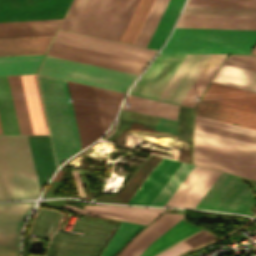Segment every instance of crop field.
<instances>
[{
    "label": "crop field",
    "mask_w": 256,
    "mask_h": 256,
    "mask_svg": "<svg viewBox=\"0 0 256 256\" xmlns=\"http://www.w3.org/2000/svg\"><path fill=\"white\" fill-rule=\"evenodd\" d=\"M37 77L59 166L69 156L81 150L67 83L50 77Z\"/></svg>",
    "instance_id": "obj_1"
},
{
    "label": "crop field",
    "mask_w": 256,
    "mask_h": 256,
    "mask_svg": "<svg viewBox=\"0 0 256 256\" xmlns=\"http://www.w3.org/2000/svg\"><path fill=\"white\" fill-rule=\"evenodd\" d=\"M137 0H74L61 28L117 41Z\"/></svg>",
    "instance_id": "obj_2"
},
{
    "label": "crop field",
    "mask_w": 256,
    "mask_h": 256,
    "mask_svg": "<svg viewBox=\"0 0 256 256\" xmlns=\"http://www.w3.org/2000/svg\"><path fill=\"white\" fill-rule=\"evenodd\" d=\"M0 140V200L35 198L40 194L27 136Z\"/></svg>",
    "instance_id": "obj_3"
},
{
    "label": "crop field",
    "mask_w": 256,
    "mask_h": 256,
    "mask_svg": "<svg viewBox=\"0 0 256 256\" xmlns=\"http://www.w3.org/2000/svg\"><path fill=\"white\" fill-rule=\"evenodd\" d=\"M256 31L175 28L160 54L232 52L249 54Z\"/></svg>",
    "instance_id": "obj_4"
},
{
    "label": "crop field",
    "mask_w": 256,
    "mask_h": 256,
    "mask_svg": "<svg viewBox=\"0 0 256 256\" xmlns=\"http://www.w3.org/2000/svg\"><path fill=\"white\" fill-rule=\"evenodd\" d=\"M40 74L127 92L136 74L47 55Z\"/></svg>",
    "instance_id": "obj_5"
},
{
    "label": "crop field",
    "mask_w": 256,
    "mask_h": 256,
    "mask_svg": "<svg viewBox=\"0 0 256 256\" xmlns=\"http://www.w3.org/2000/svg\"><path fill=\"white\" fill-rule=\"evenodd\" d=\"M183 218V215L164 213L138 234L117 256H139L157 237ZM200 228L182 220L153 241L140 256H150Z\"/></svg>",
    "instance_id": "obj_6"
},
{
    "label": "crop field",
    "mask_w": 256,
    "mask_h": 256,
    "mask_svg": "<svg viewBox=\"0 0 256 256\" xmlns=\"http://www.w3.org/2000/svg\"><path fill=\"white\" fill-rule=\"evenodd\" d=\"M74 228L85 230L83 236L57 232L46 256H97L114 226L79 217ZM58 241L62 243L57 244Z\"/></svg>",
    "instance_id": "obj_7"
},
{
    "label": "crop field",
    "mask_w": 256,
    "mask_h": 256,
    "mask_svg": "<svg viewBox=\"0 0 256 256\" xmlns=\"http://www.w3.org/2000/svg\"><path fill=\"white\" fill-rule=\"evenodd\" d=\"M193 164L256 179V155L196 140Z\"/></svg>",
    "instance_id": "obj_8"
},
{
    "label": "crop field",
    "mask_w": 256,
    "mask_h": 256,
    "mask_svg": "<svg viewBox=\"0 0 256 256\" xmlns=\"http://www.w3.org/2000/svg\"><path fill=\"white\" fill-rule=\"evenodd\" d=\"M67 83L72 99L81 147L84 148L103 133L94 89L87 85L69 81Z\"/></svg>",
    "instance_id": "obj_9"
},
{
    "label": "crop field",
    "mask_w": 256,
    "mask_h": 256,
    "mask_svg": "<svg viewBox=\"0 0 256 256\" xmlns=\"http://www.w3.org/2000/svg\"><path fill=\"white\" fill-rule=\"evenodd\" d=\"M53 42L146 62H149V60L157 52L155 50L66 32L62 30L58 31Z\"/></svg>",
    "instance_id": "obj_10"
},
{
    "label": "crop field",
    "mask_w": 256,
    "mask_h": 256,
    "mask_svg": "<svg viewBox=\"0 0 256 256\" xmlns=\"http://www.w3.org/2000/svg\"><path fill=\"white\" fill-rule=\"evenodd\" d=\"M185 57L186 55L159 56L140 77L130 93L158 100Z\"/></svg>",
    "instance_id": "obj_11"
},
{
    "label": "crop field",
    "mask_w": 256,
    "mask_h": 256,
    "mask_svg": "<svg viewBox=\"0 0 256 256\" xmlns=\"http://www.w3.org/2000/svg\"><path fill=\"white\" fill-rule=\"evenodd\" d=\"M47 54L118 69L122 71L132 72L136 74H139L142 69L147 65L146 62L64 46L55 43L51 44Z\"/></svg>",
    "instance_id": "obj_12"
},
{
    "label": "crop field",
    "mask_w": 256,
    "mask_h": 256,
    "mask_svg": "<svg viewBox=\"0 0 256 256\" xmlns=\"http://www.w3.org/2000/svg\"><path fill=\"white\" fill-rule=\"evenodd\" d=\"M33 202L0 204V232L20 233ZM0 233V256H18L20 234Z\"/></svg>",
    "instance_id": "obj_13"
},
{
    "label": "crop field",
    "mask_w": 256,
    "mask_h": 256,
    "mask_svg": "<svg viewBox=\"0 0 256 256\" xmlns=\"http://www.w3.org/2000/svg\"><path fill=\"white\" fill-rule=\"evenodd\" d=\"M220 174L195 166L165 206L194 208Z\"/></svg>",
    "instance_id": "obj_14"
},
{
    "label": "crop field",
    "mask_w": 256,
    "mask_h": 256,
    "mask_svg": "<svg viewBox=\"0 0 256 256\" xmlns=\"http://www.w3.org/2000/svg\"><path fill=\"white\" fill-rule=\"evenodd\" d=\"M209 56L210 54L187 55L159 100L180 104Z\"/></svg>",
    "instance_id": "obj_15"
},
{
    "label": "crop field",
    "mask_w": 256,
    "mask_h": 256,
    "mask_svg": "<svg viewBox=\"0 0 256 256\" xmlns=\"http://www.w3.org/2000/svg\"><path fill=\"white\" fill-rule=\"evenodd\" d=\"M202 100L256 113V93L211 82Z\"/></svg>",
    "instance_id": "obj_16"
},
{
    "label": "crop field",
    "mask_w": 256,
    "mask_h": 256,
    "mask_svg": "<svg viewBox=\"0 0 256 256\" xmlns=\"http://www.w3.org/2000/svg\"><path fill=\"white\" fill-rule=\"evenodd\" d=\"M180 162L162 158L128 204L149 205L180 166Z\"/></svg>",
    "instance_id": "obj_17"
},
{
    "label": "crop field",
    "mask_w": 256,
    "mask_h": 256,
    "mask_svg": "<svg viewBox=\"0 0 256 256\" xmlns=\"http://www.w3.org/2000/svg\"><path fill=\"white\" fill-rule=\"evenodd\" d=\"M176 27L256 30V18L182 15Z\"/></svg>",
    "instance_id": "obj_18"
},
{
    "label": "crop field",
    "mask_w": 256,
    "mask_h": 256,
    "mask_svg": "<svg viewBox=\"0 0 256 256\" xmlns=\"http://www.w3.org/2000/svg\"><path fill=\"white\" fill-rule=\"evenodd\" d=\"M195 114L256 130V114L202 101Z\"/></svg>",
    "instance_id": "obj_19"
},
{
    "label": "crop field",
    "mask_w": 256,
    "mask_h": 256,
    "mask_svg": "<svg viewBox=\"0 0 256 256\" xmlns=\"http://www.w3.org/2000/svg\"><path fill=\"white\" fill-rule=\"evenodd\" d=\"M40 190L56 170L49 136H28Z\"/></svg>",
    "instance_id": "obj_20"
},
{
    "label": "crop field",
    "mask_w": 256,
    "mask_h": 256,
    "mask_svg": "<svg viewBox=\"0 0 256 256\" xmlns=\"http://www.w3.org/2000/svg\"><path fill=\"white\" fill-rule=\"evenodd\" d=\"M53 35L0 38V56L44 54Z\"/></svg>",
    "instance_id": "obj_21"
},
{
    "label": "crop field",
    "mask_w": 256,
    "mask_h": 256,
    "mask_svg": "<svg viewBox=\"0 0 256 256\" xmlns=\"http://www.w3.org/2000/svg\"><path fill=\"white\" fill-rule=\"evenodd\" d=\"M61 19L0 22V37L54 34Z\"/></svg>",
    "instance_id": "obj_22"
},
{
    "label": "crop field",
    "mask_w": 256,
    "mask_h": 256,
    "mask_svg": "<svg viewBox=\"0 0 256 256\" xmlns=\"http://www.w3.org/2000/svg\"><path fill=\"white\" fill-rule=\"evenodd\" d=\"M34 134H48L35 75L21 76Z\"/></svg>",
    "instance_id": "obj_23"
},
{
    "label": "crop field",
    "mask_w": 256,
    "mask_h": 256,
    "mask_svg": "<svg viewBox=\"0 0 256 256\" xmlns=\"http://www.w3.org/2000/svg\"><path fill=\"white\" fill-rule=\"evenodd\" d=\"M122 109L175 121L176 106L131 95L127 96Z\"/></svg>",
    "instance_id": "obj_24"
},
{
    "label": "crop field",
    "mask_w": 256,
    "mask_h": 256,
    "mask_svg": "<svg viewBox=\"0 0 256 256\" xmlns=\"http://www.w3.org/2000/svg\"><path fill=\"white\" fill-rule=\"evenodd\" d=\"M225 56L226 54H211L208 61L204 65L203 69L181 102L182 105L194 107L198 100L197 97L201 96L202 92L206 88L207 84L213 77Z\"/></svg>",
    "instance_id": "obj_25"
},
{
    "label": "crop field",
    "mask_w": 256,
    "mask_h": 256,
    "mask_svg": "<svg viewBox=\"0 0 256 256\" xmlns=\"http://www.w3.org/2000/svg\"><path fill=\"white\" fill-rule=\"evenodd\" d=\"M213 82L256 92V72L223 64Z\"/></svg>",
    "instance_id": "obj_26"
},
{
    "label": "crop field",
    "mask_w": 256,
    "mask_h": 256,
    "mask_svg": "<svg viewBox=\"0 0 256 256\" xmlns=\"http://www.w3.org/2000/svg\"><path fill=\"white\" fill-rule=\"evenodd\" d=\"M20 134H33L20 76H7Z\"/></svg>",
    "instance_id": "obj_27"
},
{
    "label": "crop field",
    "mask_w": 256,
    "mask_h": 256,
    "mask_svg": "<svg viewBox=\"0 0 256 256\" xmlns=\"http://www.w3.org/2000/svg\"><path fill=\"white\" fill-rule=\"evenodd\" d=\"M0 122L3 134H19L6 76H0Z\"/></svg>",
    "instance_id": "obj_28"
},
{
    "label": "crop field",
    "mask_w": 256,
    "mask_h": 256,
    "mask_svg": "<svg viewBox=\"0 0 256 256\" xmlns=\"http://www.w3.org/2000/svg\"><path fill=\"white\" fill-rule=\"evenodd\" d=\"M96 98L101 116L103 130L105 131L111 124L120 102L125 94L96 88Z\"/></svg>",
    "instance_id": "obj_29"
},
{
    "label": "crop field",
    "mask_w": 256,
    "mask_h": 256,
    "mask_svg": "<svg viewBox=\"0 0 256 256\" xmlns=\"http://www.w3.org/2000/svg\"><path fill=\"white\" fill-rule=\"evenodd\" d=\"M43 55L0 57V75L35 73Z\"/></svg>",
    "instance_id": "obj_30"
},
{
    "label": "crop field",
    "mask_w": 256,
    "mask_h": 256,
    "mask_svg": "<svg viewBox=\"0 0 256 256\" xmlns=\"http://www.w3.org/2000/svg\"><path fill=\"white\" fill-rule=\"evenodd\" d=\"M184 0H170L147 47L159 49L166 38Z\"/></svg>",
    "instance_id": "obj_31"
},
{
    "label": "crop field",
    "mask_w": 256,
    "mask_h": 256,
    "mask_svg": "<svg viewBox=\"0 0 256 256\" xmlns=\"http://www.w3.org/2000/svg\"><path fill=\"white\" fill-rule=\"evenodd\" d=\"M169 0H155L134 44L146 47Z\"/></svg>",
    "instance_id": "obj_32"
},
{
    "label": "crop field",
    "mask_w": 256,
    "mask_h": 256,
    "mask_svg": "<svg viewBox=\"0 0 256 256\" xmlns=\"http://www.w3.org/2000/svg\"><path fill=\"white\" fill-rule=\"evenodd\" d=\"M154 0H140L120 41L133 44Z\"/></svg>",
    "instance_id": "obj_33"
},
{
    "label": "crop field",
    "mask_w": 256,
    "mask_h": 256,
    "mask_svg": "<svg viewBox=\"0 0 256 256\" xmlns=\"http://www.w3.org/2000/svg\"><path fill=\"white\" fill-rule=\"evenodd\" d=\"M193 167V165L182 163L150 205L164 206L175 190L193 169Z\"/></svg>",
    "instance_id": "obj_34"
},
{
    "label": "crop field",
    "mask_w": 256,
    "mask_h": 256,
    "mask_svg": "<svg viewBox=\"0 0 256 256\" xmlns=\"http://www.w3.org/2000/svg\"><path fill=\"white\" fill-rule=\"evenodd\" d=\"M143 226L122 222L115 235L106 245L101 256H112L133 234Z\"/></svg>",
    "instance_id": "obj_35"
},
{
    "label": "crop field",
    "mask_w": 256,
    "mask_h": 256,
    "mask_svg": "<svg viewBox=\"0 0 256 256\" xmlns=\"http://www.w3.org/2000/svg\"><path fill=\"white\" fill-rule=\"evenodd\" d=\"M182 14L256 16V9L185 7Z\"/></svg>",
    "instance_id": "obj_36"
},
{
    "label": "crop field",
    "mask_w": 256,
    "mask_h": 256,
    "mask_svg": "<svg viewBox=\"0 0 256 256\" xmlns=\"http://www.w3.org/2000/svg\"><path fill=\"white\" fill-rule=\"evenodd\" d=\"M84 208L115 211V212L128 214L136 217H141L149 220H152L163 211V209H146V208L102 206V205H84Z\"/></svg>",
    "instance_id": "obj_37"
},
{
    "label": "crop field",
    "mask_w": 256,
    "mask_h": 256,
    "mask_svg": "<svg viewBox=\"0 0 256 256\" xmlns=\"http://www.w3.org/2000/svg\"><path fill=\"white\" fill-rule=\"evenodd\" d=\"M53 213H54V211L41 209L38 216L36 215L37 216L36 219L34 218L35 221L30 229L29 235H30V233H32L38 237L49 238L54 233L56 225H57L58 221L60 220V218L62 217V214L58 213L57 217L55 218V220L52 223L49 234H47V233H45L46 226L48 224L49 219L53 215Z\"/></svg>",
    "instance_id": "obj_38"
},
{
    "label": "crop field",
    "mask_w": 256,
    "mask_h": 256,
    "mask_svg": "<svg viewBox=\"0 0 256 256\" xmlns=\"http://www.w3.org/2000/svg\"><path fill=\"white\" fill-rule=\"evenodd\" d=\"M186 6L256 8V0H188Z\"/></svg>",
    "instance_id": "obj_39"
},
{
    "label": "crop field",
    "mask_w": 256,
    "mask_h": 256,
    "mask_svg": "<svg viewBox=\"0 0 256 256\" xmlns=\"http://www.w3.org/2000/svg\"><path fill=\"white\" fill-rule=\"evenodd\" d=\"M63 209H66L71 212L85 213V214L114 218V219L137 223L141 225H146L147 223L150 222L149 220L136 218L128 215H123L115 212L81 209V208H76V207L67 206V205H64Z\"/></svg>",
    "instance_id": "obj_40"
},
{
    "label": "crop field",
    "mask_w": 256,
    "mask_h": 256,
    "mask_svg": "<svg viewBox=\"0 0 256 256\" xmlns=\"http://www.w3.org/2000/svg\"><path fill=\"white\" fill-rule=\"evenodd\" d=\"M194 128L256 144V138L251 137V136L223 130L220 128H216V127H212V126H208V125H204V124H200V123H196V122H195Z\"/></svg>",
    "instance_id": "obj_41"
},
{
    "label": "crop field",
    "mask_w": 256,
    "mask_h": 256,
    "mask_svg": "<svg viewBox=\"0 0 256 256\" xmlns=\"http://www.w3.org/2000/svg\"><path fill=\"white\" fill-rule=\"evenodd\" d=\"M195 121L256 137V131L195 115Z\"/></svg>",
    "instance_id": "obj_42"
},
{
    "label": "crop field",
    "mask_w": 256,
    "mask_h": 256,
    "mask_svg": "<svg viewBox=\"0 0 256 256\" xmlns=\"http://www.w3.org/2000/svg\"><path fill=\"white\" fill-rule=\"evenodd\" d=\"M225 64L256 71V56L231 55Z\"/></svg>",
    "instance_id": "obj_43"
},
{
    "label": "crop field",
    "mask_w": 256,
    "mask_h": 256,
    "mask_svg": "<svg viewBox=\"0 0 256 256\" xmlns=\"http://www.w3.org/2000/svg\"><path fill=\"white\" fill-rule=\"evenodd\" d=\"M214 238H216V237H214L212 234L203 230V231L197 233L196 235L190 237L189 239H187L183 242H185L188 245L194 247L196 245L207 242V241L212 240Z\"/></svg>",
    "instance_id": "obj_44"
},
{
    "label": "crop field",
    "mask_w": 256,
    "mask_h": 256,
    "mask_svg": "<svg viewBox=\"0 0 256 256\" xmlns=\"http://www.w3.org/2000/svg\"><path fill=\"white\" fill-rule=\"evenodd\" d=\"M190 248H192V247H190L187 244L182 242V243L166 250L165 252H163V253H161L157 256H175V255H177V254H179V253H181V252H183L187 249H190Z\"/></svg>",
    "instance_id": "obj_45"
},
{
    "label": "crop field",
    "mask_w": 256,
    "mask_h": 256,
    "mask_svg": "<svg viewBox=\"0 0 256 256\" xmlns=\"http://www.w3.org/2000/svg\"><path fill=\"white\" fill-rule=\"evenodd\" d=\"M76 182L78 194L87 199L86 192L80 179L79 171L71 172Z\"/></svg>",
    "instance_id": "obj_46"
},
{
    "label": "crop field",
    "mask_w": 256,
    "mask_h": 256,
    "mask_svg": "<svg viewBox=\"0 0 256 256\" xmlns=\"http://www.w3.org/2000/svg\"><path fill=\"white\" fill-rule=\"evenodd\" d=\"M56 213H54V215L52 216V218H51V220H50V222H49V224H48V227H47V230H46V232L48 233L49 232V229H50V226H51V223H52V221H53V219L56 217Z\"/></svg>",
    "instance_id": "obj_47"
},
{
    "label": "crop field",
    "mask_w": 256,
    "mask_h": 256,
    "mask_svg": "<svg viewBox=\"0 0 256 256\" xmlns=\"http://www.w3.org/2000/svg\"><path fill=\"white\" fill-rule=\"evenodd\" d=\"M252 54H256V47L252 50Z\"/></svg>",
    "instance_id": "obj_48"
},
{
    "label": "crop field",
    "mask_w": 256,
    "mask_h": 256,
    "mask_svg": "<svg viewBox=\"0 0 256 256\" xmlns=\"http://www.w3.org/2000/svg\"><path fill=\"white\" fill-rule=\"evenodd\" d=\"M0 134H2V132H1V127H0Z\"/></svg>",
    "instance_id": "obj_49"
}]
</instances>
